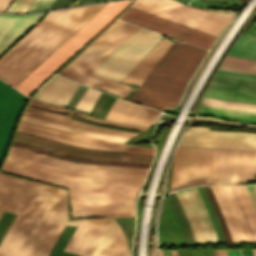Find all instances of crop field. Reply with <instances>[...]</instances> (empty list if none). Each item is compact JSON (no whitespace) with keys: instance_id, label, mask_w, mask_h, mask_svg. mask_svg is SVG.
Masks as SVG:
<instances>
[{"instance_id":"1","label":"crop field","mask_w":256,"mask_h":256,"mask_svg":"<svg viewBox=\"0 0 256 256\" xmlns=\"http://www.w3.org/2000/svg\"><path fill=\"white\" fill-rule=\"evenodd\" d=\"M67 221V191L35 183L0 243V256H47Z\"/></svg>"},{"instance_id":"2","label":"crop field","mask_w":256,"mask_h":256,"mask_svg":"<svg viewBox=\"0 0 256 256\" xmlns=\"http://www.w3.org/2000/svg\"><path fill=\"white\" fill-rule=\"evenodd\" d=\"M132 7L218 36L232 14L187 7L174 0H139ZM130 7L120 18L133 24L208 49L216 36Z\"/></svg>"},{"instance_id":"3","label":"crop field","mask_w":256,"mask_h":256,"mask_svg":"<svg viewBox=\"0 0 256 256\" xmlns=\"http://www.w3.org/2000/svg\"><path fill=\"white\" fill-rule=\"evenodd\" d=\"M104 4L48 12L0 58V79L14 87Z\"/></svg>"},{"instance_id":"4","label":"crop field","mask_w":256,"mask_h":256,"mask_svg":"<svg viewBox=\"0 0 256 256\" xmlns=\"http://www.w3.org/2000/svg\"><path fill=\"white\" fill-rule=\"evenodd\" d=\"M0 170L69 187L72 218L134 216L140 183L68 181L4 164Z\"/></svg>"},{"instance_id":"5","label":"crop field","mask_w":256,"mask_h":256,"mask_svg":"<svg viewBox=\"0 0 256 256\" xmlns=\"http://www.w3.org/2000/svg\"><path fill=\"white\" fill-rule=\"evenodd\" d=\"M206 52L185 43L173 44L130 100L158 110L175 105Z\"/></svg>"},{"instance_id":"6","label":"crop field","mask_w":256,"mask_h":256,"mask_svg":"<svg viewBox=\"0 0 256 256\" xmlns=\"http://www.w3.org/2000/svg\"><path fill=\"white\" fill-rule=\"evenodd\" d=\"M138 29L139 27L116 21L107 31L77 56L59 75L90 87L124 97L130 87L119 82L95 77L89 73Z\"/></svg>"},{"instance_id":"7","label":"crop field","mask_w":256,"mask_h":256,"mask_svg":"<svg viewBox=\"0 0 256 256\" xmlns=\"http://www.w3.org/2000/svg\"><path fill=\"white\" fill-rule=\"evenodd\" d=\"M129 1L107 3L14 88L27 96Z\"/></svg>"},{"instance_id":"8","label":"crop field","mask_w":256,"mask_h":256,"mask_svg":"<svg viewBox=\"0 0 256 256\" xmlns=\"http://www.w3.org/2000/svg\"><path fill=\"white\" fill-rule=\"evenodd\" d=\"M217 149L177 146L170 191L213 185Z\"/></svg>"},{"instance_id":"9","label":"crop field","mask_w":256,"mask_h":256,"mask_svg":"<svg viewBox=\"0 0 256 256\" xmlns=\"http://www.w3.org/2000/svg\"><path fill=\"white\" fill-rule=\"evenodd\" d=\"M162 37L140 28L91 74L121 81Z\"/></svg>"},{"instance_id":"10","label":"crop field","mask_w":256,"mask_h":256,"mask_svg":"<svg viewBox=\"0 0 256 256\" xmlns=\"http://www.w3.org/2000/svg\"><path fill=\"white\" fill-rule=\"evenodd\" d=\"M18 131L50 138L53 140L86 147V148H94V149H102V150H110V151H118V152H126V153H134V154H142V155H154V148L150 147H140V146H131L125 145L121 143L105 141L95 138H90L26 121H20L18 126Z\"/></svg>"},{"instance_id":"11","label":"crop field","mask_w":256,"mask_h":256,"mask_svg":"<svg viewBox=\"0 0 256 256\" xmlns=\"http://www.w3.org/2000/svg\"><path fill=\"white\" fill-rule=\"evenodd\" d=\"M225 125L256 128L255 126L222 122ZM178 145L255 150L256 134L245 132H219L205 127H189Z\"/></svg>"},{"instance_id":"12","label":"crop field","mask_w":256,"mask_h":256,"mask_svg":"<svg viewBox=\"0 0 256 256\" xmlns=\"http://www.w3.org/2000/svg\"><path fill=\"white\" fill-rule=\"evenodd\" d=\"M197 244L218 243L211 221L195 187L175 192Z\"/></svg>"},{"instance_id":"13","label":"crop field","mask_w":256,"mask_h":256,"mask_svg":"<svg viewBox=\"0 0 256 256\" xmlns=\"http://www.w3.org/2000/svg\"><path fill=\"white\" fill-rule=\"evenodd\" d=\"M26 97L0 81V159Z\"/></svg>"},{"instance_id":"14","label":"crop field","mask_w":256,"mask_h":256,"mask_svg":"<svg viewBox=\"0 0 256 256\" xmlns=\"http://www.w3.org/2000/svg\"><path fill=\"white\" fill-rule=\"evenodd\" d=\"M33 184L34 181L0 173V216L4 210L17 214Z\"/></svg>"},{"instance_id":"15","label":"crop field","mask_w":256,"mask_h":256,"mask_svg":"<svg viewBox=\"0 0 256 256\" xmlns=\"http://www.w3.org/2000/svg\"><path fill=\"white\" fill-rule=\"evenodd\" d=\"M9 155L41 162L44 164L72 170V171H86V172H110V173H134V174H145L147 169L141 168H127V167H112V166H98V165H84V164H75L40 154L10 148L8 153Z\"/></svg>"},{"instance_id":"16","label":"crop field","mask_w":256,"mask_h":256,"mask_svg":"<svg viewBox=\"0 0 256 256\" xmlns=\"http://www.w3.org/2000/svg\"><path fill=\"white\" fill-rule=\"evenodd\" d=\"M44 14L21 16L0 14V55L38 22Z\"/></svg>"},{"instance_id":"17","label":"crop field","mask_w":256,"mask_h":256,"mask_svg":"<svg viewBox=\"0 0 256 256\" xmlns=\"http://www.w3.org/2000/svg\"><path fill=\"white\" fill-rule=\"evenodd\" d=\"M160 112L116 98L106 118L138 125L150 126Z\"/></svg>"},{"instance_id":"18","label":"crop field","mask_w":256,"mask_h":256,"mask_svg":"<svg viewBox=\"0 0 256 256\" xmlns=\"http://www.w3.org/2000/svg\"><path fill=\"white\" fill-rule=\"evenodd\" d=\"M105 219L68 221L66 225H78L64 251L85 256Z\"/></svg>"},{"instance_id":"19","label":"crop field","mask_w":256,"mask_h":256,"mask_svg":"<svg viewBox=\"0 0 256 256\" xmlns=\"http://www.w3.org/2000/svg\"><path fill=\"white\" fill-rule=\"evenodd\" d=\"M77 87L78 84L74 82L59 76H53L32 96V98L53 104L65 105Z\"/></svg>"},{"instance_id":"20","label":"crop field","mask_w":256,"mask_h":256,"mask_svg":"<svg viewBox=\"0 0 256 256\" xmlns=\"http://www.w3.org/2000/svg\"><path fill=\"white\" fill-rule=\"evenodd\" d=\"M24 115L92 131V132H98V133H104V134H110V135H115V136H121V137H127L130 138L136 133H131V132H125V131H120V130H115V129H109V128H104V127H99L87 123H82L74 120L67 119V116L29 107L27 106Z\"/></svg>"},{"instance_id":"21","label":"crop field","mask_w":256,"mask_h":256,"mask_svg":"<svg viewBox=\"0 0 256 256\" xmlns=\"http://www.w3.org/2000/svg\"><path fill=\"white\" fill-rule=\"evenodd\" d=\"M256 152L234 150L229 184L253 182Z\"/></svg>"},{"instance_id":"22","label":"crop field","mask_w":256,"mask_h":256,"mask_svg":"<svg viewBox=\"0 0 256 256\" xmlns=\"http://www.w3.org/2000/svg\"><path fill=\"white\" fill-rule=\"evenodd\" d=\"M172 43L167 40H161L153 50L132 70V72L123 80V82L140 85L146 76L151 72Z\"/></svg>"},{"instance_id":"23","label":"crop field","mask_w":256,"mask_h":256,"mask_svg":"<svg viewBox=\"0 0 256 256\" xmlns=\"http://www.w3.org/2000/svg\"><path fill=\"white\" fill-rule=\"evenodd\" d=\"M210 187L213 191V194L216 198V201H217L219 208L222 212V215L225 219V222L227 224V227L230 232L232 240L233 241H236V240L244 241L237 218L232 209V206L230 204V201L228 199V196L225 192L224 187L223 186H210Z\"/></svg>"},{"instance_id":"24","label":"crop field","mask_w":256,"mask_h":256,"mask_svg":"<svg viewBox=\"0 0 256 256\" xmlns=\"http://www.w3.org/2000/svg\"><path fill=\"white\" fill-rule=\"evenodd\" d=\"M165 203H166V205H167L168 211H169V213H170V215H171V217H172V219H173V221H174V223H175V226H176V228H177V231H178V233H179L180 240H181V244H182V245H185V244H184V240H183V236H182V232H181V230H180V228H179V225H178V223H177V220H176V218H175V216H174V214H173V212H172V210H171V208H170V206H169V204H168L167 199L165 200ZM165 203H164V205H163L162 210H163V212H164V214H165V216H166V218H167V220H168V222H169V224H170V226H171V228H172V230H173L174 237H175V240H176V244H177V245H181V244H180V240H179L178 233H177L176 228H175V226H174V224H173V221H172V219H171V217H170V215H169V213H168V211H167V208H166V206H165ZM163 212L161 211V215H162V218H163V220H164V222H165V224H166V226H167V228H168V230H169V234H170V238H171L172 245H176V244H175L174 237H173V233H172V231H171V229H170V227H169V224H168V222H167V220H166V218H165ZM161 215H160L159 223H160V225H161V227H162V229H163V233H164V235H165L167 244L171 245L170 238H169V234H168V231H167V229H166V227H165V225H164V223H163V221H162ZM159 223H158V240H159V244H166V243H165V239H164V235H163V233H162V230H161V227H160Z\"/></svg>"},{"instance_id":"25","label":"crop field","mask_w":256,"mask_h":256,"mask_svg":"<svg viewBox=\"0 0 256 256\" xmlns=\"http://www.w3.org/2000/svg\"><path fill=\"white\" fill-rule=\"evenodd\" d=\"M118 228L114 218H107L86 256H103Z\"/></svg>"},{"instance_id":"26","label":"crop field","mask_w":256,"mask_h":256,"mask_svg":"<svg viewBox=\"0 0 256 256\" xmlns=\"http://www.w3.org/2000/svg\"><path fill=\"white\" fill-rule=\"evenodd\" d=\"M6 160H10V161H14V162H18V163H22V164H26V165H30V166H34V167H38V168L58 172V173H62V174L70 175V176L126 177V178H143L144 177V175H133V174L72 172V171H68V170H64V169H60V168H56V167H52V166H48V165H44V164H40V163H37V162H33V161H29V160L9 156V155H7Z\"/></svg>"},{"instance_id":"27","label":"crop field","mask_w":256,"mask_h":256,"mask_svg":"<svg viewBox=\"0 0 256 256\" xmlns=\"http://www.w3.org/2000/svg\"><path fill=\"white\" fill-rule=\"evenodd\" d=\"M207 98L256 104V94L209 87L205 96Z\"/></svg>"},{"instance_id":"28","label":"crop field","mask_w":256,"mask_h":256,"mask_svg":"<svg viewBox=\"0 0 256 256\" xmlns=\"http://www.w3.org/2000/svg\"><path fill=\"white\" fill-rule=\"evenodd\" d=\"M233 150L218 149L214 185L228 184Z\"/></svg>"},{"instance_id":"29","label":"crop field","mask_w":256,"mask_h":256,"mask_svg":"<svg viewBox=\"0 0 256 256\" xmlns=\"http://www.w3.org/2000/svg\"><path fill=\"white\" fill-rule=\"evenodd\" d=\"M28 105L34 106V107L50 109V110L62 112V113H65V114H69V115H73V116H77V117H81V118H85V119L101 122V123L118 125V126H124V127L141 129V130L147 129L145 127H140V126L125 124V123H119V122H114V121H107V120H101V119L93 118V117L87 116V115L82 114V113H78V112H75V111H72V110H68V109L62 108L60 106H56V105H52V104H48V103H44V102H40V101H36V100H30Z\"/></svg>"},{"instance_id":"30","label":"crop field","mask_w":256,"mask_h":256,"mask_svg":"<svg viewBox=\"0 0 256 256\" xmlns=\"http://www.w3.org/2000/svg\"><path fill=\"white\" fill-rule=\"evenodd\" d=\"M171 207H172V210L179 222V225L181 227V230L183 232V235H184V239H185V243L186 245H193V244H196L195 243V240H194V237H193V234H192V231H191V228H190V225L185 217V214L179 204V201L175 195V193H173L170 197L167 198Z\"/></svg>"},{"instance_id":"31","label":"crop field","mask_w":256,"mask_h":256,"mask_svg":"<svg viewBox=\"0 0 256 256\" xmlns=\"http://www.w3.org/2000/svg\"><path fill=\"white\" fill-rule=\"evenodd\" d=\"M212 87L256 92V82L214 76L209 84Z\"/></svg>"},{"instance_id":"32","label":"crop field","mask_w":256,"mask_h":256,"mask_svg":"<svg viewBox=\"0 0 256 256\" xmlns=\"http://www.w3.org/2000/svg\"><path fill=\"white\" fill-rule=\"evenodd\" d=\"M21 119L26 120V121H30V122H34V123H38V124H42V125H46V126H50V127H54V128H58V129H62V130H66V131H70V132H74V133H78V134H82V135H86V136H90V137L100 138V139H106V140H111V141H116V142H121V143H124V141L127 140V138H121V137L109 136V135H104V134L92 133V132H88V131H84V130H80V129H76V128H72V127H68V126H64V125H60V124H56V123H52V122H48V121H44V120H40V119L28 117V116H24V115L22 116Z\"/></svg>"},{"instance_id":"33","label":"crop field","mask_w":256,"mask_h":256,"mask_svg":"<svg viewBox=\"0 0 256 256\" xmlns=\"http://www.w3.org/2000/svg\"><path fill=\"white\" fill-rule=\"evenodd\" d=\"M228 55L256 60V40L242 35Z\"/></svg>"},{"instance_id":"34","label":"crop field","mask_w":256,"mask_h":256,"mask_svg":"<svg viewBox=\"0 0 256 256\" xmlns=\"http://www.w3.org/2000/svg\"><path fill=\"white\" fill-rule=\"evenodd\" d=\"M197 114L213 115L223 119L238 120L256 123V114L226 111L200 107Z\"/></svg>"},{"instance_id":"35","label":"crop field","mask_w":256,"mask_h":256,"mask_svg":"<svg viewBox=\"0 0 256 256\" xmlns=\"http://www.w3.org/2000/svg\"><path fill=\"white\" fill-rule=\"evenodd\" d=\"M4 163H5V164H9V165H13V166H17V167H21V168H25V169H29V170H33V171H37V172H41V173H45V174H49V175H53V176H57V177H61V178H65V179H69V180L124 181V182H141V181H142V179H125V178L70 177V176H66V175H62V174H58V173H54V172H50V171H46V170H42V169L30 167V166L18 164V163L6 161V160L4 161Z\"/></svg>"},{"instance_id":"36","label":"crop field","mask_w":256,"mask_h":256,"mask_svg":"<svg viewBox=\"0 0 256 256\" xmlns=\"http://www.w3.org/2000/svg\"><path fill=\"white\" fill-rule=\"evenodd\" d=\"M104 256H130L123 233L120 228Z\"/></svg>"},{"instance_id":"37","label":"crop field","mask_w":256,"mask_h":256,"mask_svg":"<svg viewBox=\"0 0 256 256\" xmlns=\"http://www.w3.org/2000/svg\"><path fill=\"white\" fill-rule=\"evenodd\" d=\"M251 225L256 240V217L244 186H234Z\"/></svg>"},{"instance_id":"38","label":"crop field","mask_w":256,"mask_h":256,"mask_svg":"<svg viewBox=\"0 0 256 256\" xmlns=\"http://www.w3.org/2000/svg\"><path fill=\"white\" fill-rule=\"evenodd\" d=\"M108 94L102 92V94L100 95V97L97 99V101L95 102V104L93 105V107L91 108V110L89 111V114L92 115H97L99 109L102 107V105L104 104L105 100L107 99ZM115 97L109 95L108 99L106 100L105 104L103 105V107L100 109L99 113L97 116L99 117H103L105 118L109 108L111 107L112 103L114 102Z\"/></svg>"},{"instance_id":"39","label":"crop field","mask_w":256,"mask_h":256,"mask_svg":"<svg viewBox=\"0 0 256 256\" xmlns=\"http://www.w3.org/2000/svg\"><path fill=\"white\" fill-rule=\"evenodd\" d=\"M101 94L100 91L87 88L82 97L79 99L74 109H78L88 113L98 96Z\"/></svg>"},{"instance_id":"40","label":"crop field","mask_w":256,"mask_h":256,"mask_svg":"<svg viewBox=\"0 0 256 256\" xmlns=\"http://www.w3.org/2000/svg\"><path fill=\"white\" fill-rule=\"evenodd\" d=\"M196 188H197V190H198V192L200 194V197H201V199H202V201L204 203V206H205V208H206V210L208 212V215H209V217H210V219L212 221V224H213V227H214V230H215L218 242L219 243H225L224 239H223V236H222V232H221L219 223H218V220H217V218H216V216H215V214H214V212L212 210V207H211V205H210V203H209V201H208V199L206 197V194H205L203 188L202 187H196Z\"/></svg>"},{"instance_id":"41","label":"crop field","mask_w":256,"mask_h":256,"mask_svg":"<svg viewBox=\"0 0 256 256\" xmlns=\"http://www.w3.org/2000/svg\"><path fill=\"white\" fill-rule=\"evenodd\" d=\"M224 187L226 189V192H227V194L229 196V199L231 201L233 209H234V211L236 213V216L238 218V221H239L240 227L242 229L245 241L246 242H252L231 187L230 186H224Z\"/></svg>"},{"instance_id":"42","label":"crop field","mask_w":256,"mask_h":256,"mask_svg":"<svg viewBox=\"0 0 256 256\" xmlns=\"http://www.w3.org/2000/svg\"><path fill=\"white\" fill-rule=\"evenodd\" d=\"M202 103L256 110V105L235 103V102H228V101H221V100H214V99H207V98H204Z\"/></svg>"},{"instance_id":"43","label":"crop field","mask_w":256,"mask_h":256,"mask_svg":"<svg viewBox=\"0 0 256 256\" xmlns=\"http://www.w3.org/2000/svg\"><path fill=\"white\" fill-rule=\"evenodd\" d=\"M65 228H66V226H65ZM65 228H64V230H65ZM69 228V227H68ZM68 228H67V230H68ZM70 228H71V226H70ZM70 228H69V230H70ZM75 228H76V226H72V228H71V230H70V232L68 233L67 232V230H66V232L68 233V235H67V237L65 238L64 237V235H65V233H64V235L62 236V238H61V240L59 239L60 238V236L62 235V233L64 232V230L62 231V233H61V235L59 236V243H58V245L56 246V248H55V250H54V252L52 253V255L51 256H53L54 255V253H55V251L57 250V248H58V246L60 245V243H61V241H62V239H63V237L65 238V240H64V242L62 243V245H61V247L59 248V250H58V252H57V254H56V256H60L61 255V253H62V251H63V249H64V247H65V245L67 244V242H68V240H69V238L71 237V235H72V233L74 232V230H75ZM68 230V231H69ZM58 241V240H57ZM57 241H56V243H57ZM56 243L54 244V246H53V248L55 247V245H56ZM53 248L51 249V251L53 250ZM51 251H50V253H51ZM50 253L48 254V256L50 255ZM63 254H64V252L62 253V255L61 256H63ZM67 255V253H65V255L64 256H66ZM70 254H68L67 256H69ZM55 256V255H54ZM70 256H73V254H71ZM74 256H78V255H74Z\"/></svg>"},{"instance_id":"44","label":"crop field","mask_w":256,"mask_h":256,"mask_svg":"<svg viewBox=\"0 0 256 256\" xmlns=\"http://www.w3.org/2000/svg\"><path fill=\"white\" fill-rule=\"evenodd\" d=\"M216 75L256 81V75H252V74L218 70Z\"/></svg>"},{"instance_id":"45","label":"crop field","mask_w":256,"mask_h":256,"mask_svg":"<svg viewBox=\"0 0 256 256\" xmlns=\"http://www.w3.org/2000/svg\"><path fill=\"white\" fill-rule=\"evenodd\" d=\"M33 0H15L7 11L22 12L26 11Z\"/></svg>"},{"instance_id":"46","label":"crop field","mask_w":256,"mask_h":256,"mask_svg":"<svg viewBox=\"0 0 256 256\" xmlns=\"http://www.w3.org/2000/svg\"><path fill=\"white\" fill-rule=\"evenodd\" d=\"M9 215H10V213L4 211L3 215H2L1 218H0V230H1L2 227L4 226V224H5V222L7 221ZM11 216H12V213H11L9 219L11 218ZM14 217H15V214H13L12 218L10 219V221H9V219H8L9 223H8V221H7V223H8V224L6 223L7 226H6V224H5L6 228H5V226L3 227V229L5 228L4 231H3V229H2L3 233H2V231L0 232V234L2 233L1 236H0V241L2 240L4 234L6 233L8 227L10 226V224H11V222L13 221Z\"/></svg>"},{"instance_id":"47","label":"crop field","mask_w":256,"mask_h":256,"mask_svg":"<svg viewBox=\"0 0 256 256\" xmlns=\"http://www.w3.org/2000/svg\"><path fill=\"white\" fill-rule=\"evenodd\" d=\"M224 61L233 62V63H240V64L255 65L256 66L255 61H250V60H245V59H240V58H235V57H230V56H227Z\"/></svg>"},{"instance_id":"48","label":"crop field","mask_w":256,"mask_h":256,"mask_svg":"<svg viewBox=\"0 0 256 256\" xmlns=\"http://www.w3.org/2000/svg\"><path fill=\"white\" fill-rule=\"evenodd\" d=\"M246 189H247V192L249 194V197L251 199V202L253 204V207L255 209V213H256V191L254 189V186L251 185V186H245Z\"/></svg>"},{"instance_id":"49","label":"crop field","mask_w":256,"mask_h":256,"mask_svg":"<svg viewBox=\"0 0 256 256\" xmlns=\"http://www.w3.org/2000/svg\"><path fill=\"white\" fill-rule=\"evenodd\" d=\"M231 187H232V189H233V191H234V194H235V196H236L237 202H238V204H239V207H240V209H241L242 215H243L244 220H245V222H246V225H247V228H248V230H249L250 236H251L252 240L254 241L251 228H250V226H249L248 220H247L246 215H245V213H244V211H243V208H242V206H241V203H240V201H239V199H238V196H237V194H236V191H235V189H234L233 186H231Z\"/></svg>"},{"instance_id":"50","label":"crop field","mask_w":256,"mask_h":256,"mask_svg":"<svg viewBox=\"0 0 256 256\" xmlns=\"http://www.w3.org/2000/svg\"><path fill=\"white\" fill-rule=\"evenodd\" d=\"M73 1L74 0H55L50 8L71 5Z\"/></svg>"},{"instance_id":"51","label":"crop field","mask_w":256,"mask_h":256,"mask_svg":"<svg viewBox=\"0 0 256 256\" xmlns=\"http://www.w3.org/2000/svg\"><path fill=\"white\" fill-rule=\"evenodd\" d=\"M220 69H222V70H230V71H237V72H245V73L256 74V71H254V70H246V69H239V68H232V67H224V66H221Z\"/></svg>"},{"instance_id":"52","label":"crop field","mask_w":256,"mask_h":256,"mask_svg":"<svg viewBox=\"0 0 256 256\" xmlns=\"http://www.w3.org/2000/svg\"><path fill=\"white\" fill-rule=\"evenodd\" d=\"M200 106H203V107H211V108H219V109H226V110H234V111H241V112L256 113L255 111H248V110H241V109H233V108H226V107H219V106H211V105H204V104H201Z\"/></svg>"},{"instance_id":"53","label":"crop field","mask_w":256,"mask_h":256,"mask_svg":"<svg viewBox=\"0 0 256 256\" xmlns=\"http://www.w3.org/2000/svg\"><path fill=\"white\" fill-rule=\"evenodd\" d=\"M222 65L256 70L255 66L240 65V64H233V63H226V62H223Z\"/></svg>"},{"instance_id":"54","label":"crop field","mask_w":256,"mask_h":256,"mask_svg":"<svg viewBox=\"0 0 256 256\" xmlns=\"http://www.w3.org/2000/svg\"><path fill=\"white\" fill-rule=\"evenodd\" d=\"M252 28L256 29V23H254V25L247 32H245L244 35H247L249 37L256 39V31L253 30Z\"/></svg>"},{"instance_id":"55","label":"crop field","mask_w":256,"mask_h":256,"mask_svg":"<svg viewBox=\"0 0 256 256\" xmlns=\"http://www.w3.org/2000/svg\"><path fill=\"white\" fill-rule=\"evenodd\" d=\"M95 1H102V0H77L74 5L76 4H82V3H89V2H95Z\"/></svg>"},{"instance_id":"56","label":"crop field","mask_w":256,"mask_h":256,"mask_svg":"<svg viewBox=\"0 0 256 256\" xmlns=\"http://www.w3.org/2000/svg\"><path fill=\"white\" fill-rule=\"evenodd\" d=\"M202 252H203V255L206 256L205 250H203ZM191 253H192V256H202L201 251H191Z\"/></svg>"},{"instance_id":"57","label":"crop field","mask_w":256,"mask_h":256,"mask_svg":"<svg viewBox=\"0 0 256 256\" xmlns=\"http://www.w3.org/2000/svg\"><path fill=\"white\" fill-rule=\"evenodd\" d=\"M187 252H188V256H191L190 251H187ZM177 253H178V256H187L186 251H177Z\"/></svg>"},{"instance_id":"58","label":"crop field","mask_w":256,"mask_h":256,"mask_svg":"<svg viewBox=\"0 0 256 256\" xmlns=\"http://www.w3.org/2000/svg\"><path fill=\"white\" fill-rule=\"evenodd\" d=\"M248 251H249V255H250V256H252V252H251V250H248ZM248 251H247V250H245V252H246V256H249V255H248ZM240 252H241V256H245L244 250H240Z\"/></svg>"},{"instance_id":"59","label":"crop field","mask_w":256,"mask_h":256,"mask_svg":"<svg viewBox=\"0 0 256 256\" xmlns=\"http://www.w3.org/2000/svg\"><path fill=\"white\" fill-rule=\"evenodd\" d=\"M227 256H235L234 250H226Z\"/></svg>"},{"instance_id":"60","label":"crop field","mask_w":256,"mask_h":256,"mask_svg":"<svg viewBox=\"0 0 256 256\" xmlns=\"http://www.w3.org/2000/svg\"><path fill=\"white\" fill-rule=\"evenodd\" d=\"M71 118V117H70ZM75 119V118H74ZM79 120V119H78ZM81 121H83V120H81ZM85 122H87V121H85ZM89 123H91V122H89ZM92 124H95V123H92ZM96 125H99V124H96ZM108 127H110V126H108ZM114 128H116V127H114ZM120 130H122V129H120ZM125 131H128V130H125ZM134 131V130H133ZM133 131H131V132H133ZM138 132H140V131H138ZM138 132H136V133H138Z\"/></svg>"},{"instance_id":"61","label":"crop field","mask_w":256,"mask_h":256,"mask_svg":"<svg viewBox=\"0 0 256 256\" xmlns=\"http://www.w3.org/2000/svg\"><path fill=\"white\" fill-rule=\"evenodd\" d=\"M206 251H207V255H208V256H209V253H210V256H214L212 250H209V253H208V250H206Z\"/></svg>"},{"instance_id":"62","label":"crop field","mask_w":256,"mask_h":256,"mask_svg":"<svg viewBox=\"0 0 256 256\" xmlns=\"http://www.w3.org/2000/svg\"><path fill=\"white\" fill-rule=\"evenodd\" d=\"M235 252H236V256H240L239 250H235Z\"/></svg>"},{"instance_id":"63","label":"crop field","mask_w":256,"mask_h":256,"mask_svg":"<svg viewBox=\"0 0 256 256\" xmlns=\"http://www.w3.org/2000/svg\"><path fill=\"white\" fill-rule=\"evenodd\" d=\"M253 256H256V250H252Z\"/></svg>"},{"instance_id":"64","label":"crop field","mask_w":256,"mask_h":256,"mask_svg":"<svg viewBox=\"0 0 256 256\" xmlns=\"http://www.w3.org/2000/svg\"><path fill=\"white\" fill-rule=\"evenodd\" d=\"M162 252H163V256H166L165 250H162Z\"/></svg>"},{"instance_id":"65","label":"crop field","mask_w":256,"mask_h":256,"mask_svg":"<svg viewBox=\"0 0 256 256\" xmlns=\"http://www.w3.org/2000/svg\"><path fill=\"white\" fill-rule=\"evenodd\" d=\"M213 251H214V255H215V256H217V252H216V250H213Z\"/></svg>"},{"instance_id":"66","label":"crop field","mask_w":256,"mask_h":256,"mask_svg":"<svg viewBox=\"0 0 256 256\" xmlns=\"http://www.w3.org/2000/svg\"><path fill=\"white\" fill-rule=\"evenodd\" d=\"M168 253H169V256H171V253H170V251H168Z\"/></svg>"},{"instance_id":"67","label":"crop field","mask_w":256,"mask_h":256,"mask_svg":"<svg viewBox=\"0 0 256 256\" xmlns=\"http://www.w3.org/2000/svg\"><path fill=\"white\" fill-rule=\"evenodd\" d=\"M255 186V188H256V185H254Z\"/></svg>"},{"instance_id":"68","label":"crop field","mask_w":256,"mask_h":256,"mask_svg":"<svg viewBox=\"0 0 256 256\" xmlns=\"http://www.w3.org/2000/svg\"><path fill=\"white\" fill-rule=\"evenodd\" d=\"M167 252V251H166ZM167 256H168V253H167Z\"/></svg>"}]
</instances>
